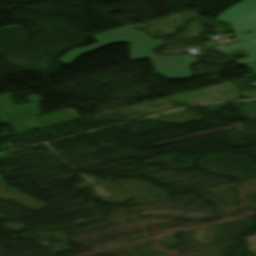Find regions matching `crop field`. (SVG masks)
I'll return each instance as SVG.
<instances>
[{
  "mask_svg": "<svg viewBox=\"0 0 256 256\" xmlns=\"http://www.w3.org/2000/svg\"><path fill=\"white\" fill-rule=\"evenodd\" d=\"M93 37L98 41V43L93 44L87 48H77L74 49L65 55H63L58 60L63 63L69 64L78 56L95 50L97 48L112 44V43H122V42H144L151 40L148 35L143 32H139L138 30L132 29L131 27L114 30L110 32L100 33L93 35Z\"/></svg>",
  "mask_w": 256,
  "mask_h": 256,
  "instance_id": "1",
  "label": "crop field"
},
{
  "mask_svg": "<svg viewBox=\"0 0 256 256\" xmlns=\"http://www.w3.org/2000/svg\"><path fill=\"white\" fill-rule=\"evenodd\" d=\"M166 42L162 40H155L147 43L130 44L131 59H139L153 56L152 50Z\"/></svg>",
  "mask_w": 256,
  "mask_h": 256,
  "instance_id": "5",
  "label": "crop field"
},
{
  "mask_svg": "<svg viewBox=\"0 0 256 256\" xmlns=\"http://www.w3.org/2000/svg\"><path fill=\"white\" fill-rule=\"evenodd\" d=\"M240 126H243V125L236 124V125H232V126H228V127H224V128H220V129H216V130H212V131H208V132H204V133H200V134H196V135H192V136H188V137H184V138H180V139H176V140H172V141H168V142H164V143H160V144H156V145H152V146L158 147V146H162V145H166V144H170V143H175V142H179V141H183V140H187V139H192V138H196V137H200V136H204V135H209V134L229 130V129L240 127Z\"/></svg>",
  "mask_w": 256,
  "mask_h": 256,
  "instance_id": "6",
  "label": "crop field"
},
{
  "mask_svg": "<svg viewBox=\"0 0 256 256\" xmlns=\"http://www.w3.org/2000/svg\"><path fill=\"white\" fill-rule=\"evenodd\" d=\"M158 74L167 79L193 77L191 65L197 63L193 56H166L151 58Z\"/></svg>",
  "mask_w": 256,
  "mask_h": 256,
  "instance_id": "3",
  "label": "crop field"
},
{
  "mask_svg": "<svg viewBox=\"0 0 256 256\" xmlns=\"http://www.w3.org/2000/svg\"><path fill=\"white\" fill-rule=\"evenodd\" d=\"M242 44L235 45L233 47H226L224 45L216 47L220 52L228 54L238 49L244 48L248 51L250 58L236 61L239 64H248L256 62V32L239 36Z\"/></svg>",
  "mask_w": 256,
  "mask_h": 256,
  "instance_id": "4",
  "label": "crop field"
},
{
  "mask_svg": "<svg viewBox=\"0 0 256 256\" xmlns=\"http://www.w3.org/2000/svg\"><path fill=\"white\" fill-rule=\"evenodd\" d=\"M215 19L231 24L235 34L256 30V0H245Z\"/></svg>",
  "mask_w": 256,
  "mask_h": 256,
  "instance_id": "2",
  "label": "crop field"
}]
</instances>
